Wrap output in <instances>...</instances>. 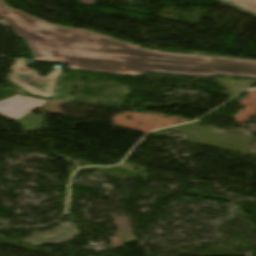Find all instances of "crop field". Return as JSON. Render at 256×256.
Masks as SVG:
<instances>
[{
    "label": "crop field",
    "mask_w": 256,
    "mask_h": 256,
    "mask_svg": "<svg viewBox=\"0 0 256 256\" xmlns=\"http://www.w3.org/2000/svg\"><path fill=\"white\" fill-rule=\"evenodd\" d=\"M0 17L27 40L35 60L69 63V68L131 74L152 71L256 77L255 65L221 63V58L150 51L87 31L54 27L6 7L2 0Z\"/></svg>",
    "instance_id": "obj_1"
},
{
    "label": "crop field",
    "mask_w": 256,
    "mask_h": 256,
    "mask_svg": "<svg viewBox=\"0 0 256 256\" xmlns=\"http://www.w3.org/2000/svg\"><path fill=\"white\" fill-rule=\"evenodd\" d=\"M26 62L16 61L15 68L9 78L10 82L22 87L32 95L51 98L56 80L62 70L55 69L49 76L39 78L37 77L38 72L25 67Z\"/></svg>",
    "instance_id": "obj_2"
},
{
    "label": "crop field",
    "mask_w": 256,
    "mask_h": 256,
    "mask_svg": "<svg viewBox=\"0 0 256 256\" xmlns=\"http://www.w3.org/2000/svg\"><path fill=\"white\" fill-rule=\"evenodd\" d=\"M44 103L45 101L16 95L0 102V116L18 120Z\"/></svg>",
    "instance_id": "obj_3"
},
{
    "label": "crop field",
    "mask_w": 256,
    "mask_h": 256,
    "mask_svg": "<svg viewBox=\"0 0 256 256\" xmlns=\"http://www.w3.org/2000/svg\"><path fill=\"white\" fill-rule=\"evenodd\" d=\"M217 1L256 16V0H217Z\"/></svg>",
    "instance_id": "obj_4"
},
{
    "label": "crop field",
    "mask_w": 256,
    "mask_h": 256,
    "mask_svg": "<svg viewBox=\"0 0 256 256\" xmlns=\"http://www.w3.org/2000/svg\"><path fill=\"white\" fill-rule=\"evenodd\" d=\"M222 62H235V63H245V64H255L256 65V62H254V61L227 59V58H222Z\"/></svg>",
    "instance_id": "obj_5"
},
{
    "label": "crop field",
    "mask_w": 256,
    "mask_h": 256,
    "mask_svg": "<svg viewBox=\"0 0 256 256\" xmlns=\"http://www.w3.org/2000/svg\"><path fill=\"white\" fill-rule=\"evenodd\" d=\"M79 1H81L82 3H84V4H86V5H90V4L95 3L94 0H79Z\"/></svg>",
    "instance_id": "obj_6"
}]
</instances>
